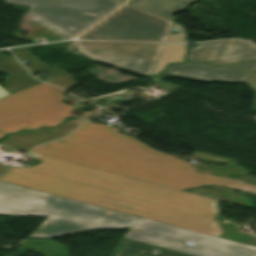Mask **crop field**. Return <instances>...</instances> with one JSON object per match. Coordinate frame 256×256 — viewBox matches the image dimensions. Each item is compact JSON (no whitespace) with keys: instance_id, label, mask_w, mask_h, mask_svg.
<instances>
[{"instance_id":"crop-field-11","label":"crop field","mask_w":256,"mask_h":256,"mask_svg":"<svg viewBox=\"0 0 256 256\" xmlns=\"http://www.w3.org/2000/svg\"><path fill=\"white\" fill-rule=\"evenodd\" d=\"M27 13L45 22L69 38H74L97 22L98 18L29 7Z\"/></svg>"},{"instance_id":"crop-field-2","label":"crop field","mask_w":256,"mask_h":256,"mask_svg":"<svg viewBox=\"0 0 256 256\" xmlns=\"http://www.w3.org/2000/svg\"><path fill=\"white\" fill-rule=\"evenodd\" d=\"M32 152L180 190L221 184L256 193V186L196 173L184 160L156 152L115 128L89 120L70 137Z\"/></svg>"},{"instance_id":"crop-field-17","label":"crop field","mask_w":256,"mask_h":256,"mask_svg":"<svg viewBox=\"0 0 256 256\" xmlns=\"http://www.w3.org/2000/svg\"><path fill=\"white\" fill-rule=\"evenodd\" d=\"M187 46L188 45L165 44L152 75L164 69L169 62H183Z\"/></svg>"},{"instance_id":"crop-field-9","label":"crop field","mask_w":256,"mask_h":256,"mask_svg":"<svg viewBox=\"0 0 256 256\" xmlns=\"http://www.w3.org/2000/svg\"><path fill=\"white\" fill-rule=\"evenodd\" d=\"M256 59V47L244 41L225 40L200 43L190 49L186 60L214 65Z\"/></svg>"},{"instance_id":"crop-field-22","label":"crop field","mask_w":256,"mask_h":256,"mask_svg":"<svg viewBox=\"0 0 256 256\" xmlns=\"http://www.w3.org/2000/svg\"><path fill=\"white\" fill-rule=\"evenodd\" d=\"M10 95L3 87L0 86V98Z\"/></svg>"},{"instance_id":"crop-field-6","label":"crop field","mask_w":256,"mask_h":256,"mask_svg":"<svg viewBox=\"0 0 256 256\" xmlns=\"http://www.w3.org/2000/svg\"><path fill=\"white\" fill-rule=\"evenodd\" d=\"M173 21L126 5L79 39L165 41Z\"/></svg>"},{"instance_id":"crop-field-14","label":"crop field","mask_w":256,"mask_h":256,"mask_svg":"<svg viewBox=\"0 0 256 256\" xmlns=\"http://www.w3.org/2000/svg\"><path fill=\"white\" fill-rule=\"evenodd\" d=\"M196 0H130L128 4L135 5L163 17L175 20L173 15L184 10Z\"/></svg>"},{"instance_id":"crop-field-12","label":"crop field","mask_w":256,"mask_h":256,"mask_svg":"<svg viewBox=\"0 0 256 256\" xmlns=\"http://www.w3.org/2000/svg\"><path fill=\"white\" fill-rule=\"evenodd\" d=\"M88 113L76 120H71L56 129H40L36 131L23 132L19 134L9 135L8 139L1 142L3 145L28 151L34 145L51 141L67 135L71 130L77 127L84 119L90 116Z\"/></svg>"},{"instance_id":"crop-field-25","label":"crop field","mask_w":256,"mask_h":256,"mask_svg":"<svg viewBox=\"0 0 256 256\" xmlns=\"http://www.w3.org/2000/svg\"><path fill=\"white\" fill-rule=\"evenodd\" d=\"M8 167H5V166H1L0 165V174L5 170V169H7Z\"/></svg>"},{"instance_id":"crop-field-1","label":"crop field","mask_w":256,"mask_h":256,"mask_svg":"<svg viewBox=\"0 0 256 256\" xmlns=\"http://www.w3.org/2000/svg\"><path fill=\"white\" fill-rule=\"evenodd\" d=\"M41 163L11 167L1 181L219 237L216 199L30 153Z\"/></svg>"},{"instance_id":"crop-field-13","label":"crop field","mask_w":256,"mask_h":256,"mask_svg":"<svg viewBox=\"0 0 256 256\" xmlns=\"http://www.w3.org/2000/svg\"><path fill=\"white\" fill-rule=\"evenodd\" d=\"M6 51L7 50H0V72L6 73L10 76L4 80L7 84V87L5 88L6 90L13 94L42 83L31 78L28 75L29 73L27 74L24 67L20 65L14 58L4 56L2 52Z\"/></svg>"},{"instance_id":"crop-field-7","label":"crop field","mask_w":256,"mask_h":256,"mask_svg":"<svg viewBox=\"0 0 256 256\" xmlns=\"http://www.w3.org/2000/svg\"><path fill=\"white\" fill-rule=\"evenodd\" d=\"M164 44L75 41L73 47L97 61L150 76ZM106 50L110 53L105 52Z\"/></svg>"},{"instance_id":"crop-field-10","label":"crop field","mask_w":256,"mask_h":256,"mask_svg":"<svg viewBox=\"0 0 256 256\" xmlns=\"http://www.w3.org/2000/svg\"><path fill=\"white\" fill-rule=\"evenodd\" d=\"M5 2L99 18L123 4L117 0H6Z\"/></svg>"},{"instance_id":"crop-field-15","label":"crop field","mask_w":256,"mask_h":256,"mask_svg":"<svg viewBox=\"0 0 256 256\" xmlns=\"http://www.w3.org/2000/svg\"><path fill=\"white\" fill-rule=\"evenodd\" d=\"M124 248L116 256H140L143 252L161 256H191L124 238Z\"/></svg>"},{"instance_id":"crop-field-5","label":"crop field","mask_w":256,"mask_h":256,"mask_svg":"<svg viewBox=\"0 0 256 256\" xmlns=\"http://www.w3.org/2000/svg\"><path fill=\"white\" fill-rule=\"evenodd\" d=\"M131 228L178 241H189L195 244L190 246L182 242L138 232L135 230H128L123 237L195 256H256L255 247L142 218H139Z\"/></svg>"},{"instance_id":"crop-field-23","label":"crop field","mask_w":256,"mask_h":256,"mask_svg":"<svg viewBox=\"0 0 256 256\" xmlns=\"http://www.w3.org/2000/svg\"><path fill=\"white\" fill-rule=\"evenodd\" d=\"M252 109L256 110V93H255V96H254V101H253Z\"/></svg>"},{"instance_id":"crop-field-21","label":"crop field","mask_w":256,"mask_h":256,"mask_svg":"<svg viewBox=\"0 0 256 256\" xmlns=\"http://www.w3.org/2000/svg\"><path fill=\"white\" fill-rule=\"evenodd\" d=\"M245 83L256 92V72Z\"/></svg>"},{"instance_id":"crop-field-27","label":"crop field","mask_w":256,"mask_h":256,"mask_svg":"<svg viewBox=\"0 0 256 256\" xmlns=\"http://www.w3.org/2000/svg\"><path fill=\"white\" fill-rule=\"evenodd\" d=\"M121 1L125 2L126 0H121Z\"/></svg>"},{"instance_id":"crop-field-26","label":"crop field","mask_w":256,"mask_h":256,"mask_svg":"<svg viewBox=\"0 0 256 256\" xmlns=\"http://www.w3.org/2000/svg\"><path fill=\"white\" fill-rule=\"evenodd\" d=\"M96 110H98V109H96ZM96 110H94V111H92V112L94 113Z\"/></svg>"},{"instance_id":"crop-field-19","label":"crop field","mask_w":256,"mask_h":256,"mask_svg":"<svg viewBox=\"0 0 256 256\" xmlns=\"http://www.w3.org/2000/svg\"><path fill=\"white\" fill-rule=\"evenodd\" d=\"M192 158H194V159H201V160H207V161H214V162H221V163H225L227 161L232 160L230 158L213 156L211 154H207V153H203V152H198V151L194 152Z\"/></svg>"},{"instance_id":"crop-field-8","label":"crop field","mask_w":256,"mask_h":256,"mask_svg":"<svg viewBox=\"0 0 256 256\" xmlns=\"http://www.w3.org/2000/svg\"><path fill=\"white\" fill-rule=\"evenodd\" d=\"M256 70V61L242 64H231L222 67L184 63L172 64L164 71L168 76L205 82L212 79L241 83Z\"/></svg>"},{"instance_id":"crop-field-4","label":"crop field","mask_w":256,"mask_h":256,"mask_svg":"<svg viewBox=\"0 0 256 256\" xmlns=\"http://www.w3.org/2000/svg\"><path fill=\"white\" fill-rule=\"evenodd\" d=\"M64 91L42 83L0 99V138L3 133L39 126L52 127L75 108L63 103Z\"/></svg>"},{"instance_id":"crop-field-24","label":"crop field","mask_w":256,"mask_h":256,"mask_svg":"<svg viewBox=\"0 0 256 256\" xmlns=\"http://www.w3.org/2000/svg\"><path fill=\"white\" fill-rule=\"evenodd\" d=\"M103 110H104V112L108 111V112L111 113L112 115H115V113H114L113 111H111L109 108H105V109H103Z\"/></svg>"},{"instance_id":"crop-field-18","label":"crop field","mask_w":256,"mask_h":256,"mask_svg":"<svg viewBox=\"0 0 256 256\" xmlns=\"http://www.w3.org/2000/svg\"><path fill=\"white\" fill-rule=\"evenodd\" d=\"M50 83H53L59 87H62L66 90L76 86L77 84L71 79L70 75L67 74L65 76H62V77H59L57 79H54V80H51V81H48Z\"/></svg>"},{"instance_id":"crop-field-16","label":"crop field","mask_w":256,"mask_h":256,"mask_svg":"<svg viewBox=\"0 0 256 256\" xmlns=\"http://www.w3.org/2000/svg\"><path fill=\"white\" fill-rule=\"evenodd\" d=\"M18 59H23L29 63V68L31 70L36 71H44L46 73L51 74V78L54 79L56 77L67 74V72L62 68H51L47 64L38 60L32 53L28 51L27 47L24 48H16L10 49Z\"/></svg>"},{"instance_id":"crop-field-3","label":"crop field","mask_w":256,"mask_h":256,"mask_svg":"<svg viewBox=\"0 0 256 256\" xmlns=\"http://www.w3.org/2000/svg\"><path fill=\"white\" fill-rule=\"evenodd\" d=\"M0 215L48 217L29 237H57L93 228H130L138 219L1 181Z\"/></svg>"},{"instance_id":"crop-field-20","label":"crop field","mask_w":256,"mask_h":256,"mask_svg":"<svg viewBox=\"0 0 256 256\" xmlns=\"http://www.w3.org/2000/svg\"><path fill=\"white\" fill-rule=\"evenodd\" d=\"M173 27L181 30L177 35H169L167 42H188L184 28L177 23Z\"/></svg>"}]
</instances>
